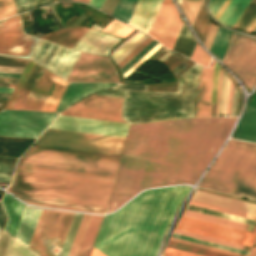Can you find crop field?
<instances>
[{
  "label": "crop field",
  "instance_id": "crop-field-48",
  "mask_svg": "<svg viewBox=\"0 0 256 256\" xmlns=\"http://www.w3.org/2000/svg\"><path fill=\"white\" fill-rule=\"evenodd\" d=\"M162 46L158 43L150 49L144 56H142L136 63H134L127 71H125L122 76L125 78L128 76L132 71H134L139 65H141L145 60H147L152 54H154L159 48Z\"/></svg>",
  "mask_w": 256,
  "mask_h": 256
},
{
  "label": "crop field",
  "instance_id": "crop-field-14",
  "mask_svg": "<svg viewBox=\"0 0 256 256\" xmlns=\"http://www.w3.org/2000/svg\"><path fill=\"white\" fill-rule=\"evenodd\" d=\"M79 52L40 40L32 60L66 80Z\"/></svg>",
  "mask_w": 256,
  "mask_h": 256
},
{
  "label": "crop field",
  "instance_id": "crop-field-27",
  "mask_svg": "<svg viewBox=\"0 0 256 256\" xmlns=\"http://www.w3.org/2000/svg\"><path fill=\"white\" fill-rule=\"evenodd\" d=\"M2 202L9 217V221L7 223L5 231L11 234L12 236H15V233L17 231L18 225L20 223L21 217L26 206L16 201L7 193H5Z\"/></svg>",
  "mask_w": 256,
  "mask_h": 256
},
{
  "label": "crop field",
  "instance_id": "crop-field-69",
  "mask_svg": "<svg viewBox=\"0 0 256 256\" xmlns=\"http://www.w3.org/2000/svg\"><path fill=\"white\" fill-rule=\"evenodd\" d=\"M181 1H182V0H178V2H179L180 4H181Z\"/></svg>",
  "mask_w": 256,
  "mask_h": 256
},
{
  "label": "crop field",
  "instance_id": "crop-field-15",
  "mask_svg": "<svg viewBox=\"0 0 256 256\" xmlns=\"http://www.w3.org/2000/svg\"><path fill=\"white\" fill-rule=\"evenodd\" d=\"M177 229L214 237L246 246H253L256 234L182 216Z\"/></svg>",
  "mask_w": 256,
  "mask_h": 256
},
{
  "label": "crop field",
  "instance_id": "crop-field-58",
  "mask_svg": "<svg viewBox=\"0 0 256 256\" xmlns=\"http://www.w3.org/2000/svg\"><path fill=\"white\" fill-rule=\"evenodd\" d=\"M17 79L0 78V87L13 88Z\"/></svg>",
  "mask_w": 256,
  "mask_h": 256
},
{
  "label": "crop field",
  "instance_id": "crop-field-25",
  "mask_svg": "<svg viewBox=\"0 0 256 256\" xmlns=\"http://www.w3.org/2000/svg\"><path fill=\"white\" fill-rule=\"evenodd\" d=\"M61 115L125 123L123 120L120 119V112H111L75 106H71Z\"/></svg>",
  "mask_w": 256,
  "mask_h": 256
},
{
  "label": "crop field",
  "instance_id": "crop-field-45",
  "mask_svg": "<svg viewBox=\"0 0 256 256\" xmlns=\"http://www.w3.org/2000/svg\"><path fill=\"white\" fill-rule=\"evenodd\" d=\"M168 246L177 248V249H181V250H185V251H189V252H193V253H197V254H201V255H205V256H230V255L217 253V252H213V251H209V250H205V249H201V248H197V247H192V246H188V245H184V244H180V243H176V242H172V241L169 242Z\"/></svg>",
  "mask_w": 256,
  "mask_h": 256
},
{
  "label": "crop field",
  "instance_id": "crop-field-22",
  "mask_svg": "<svg viewBox=\"0 0 256 256\" xmlns=\"http://www.w3.org/2000/svg\"><path fill=\"white\" fill-rule=\"evenodd\" d=\"M118 84H94V83H70L56 112H61L71 104L84 96L108 88H114Z\"/></svg>",
  "mask_w": 256,
  "mask_h": 256
},
{
  "label": "crop field",
  "instance_id": "crop-field-40",
  "mask_svg": "<svg viewBox=\"0 0 256 256\" xmlns=\"http://www.w3.org/2000/svg\"><path fill=\"white\" fill-rule=\"evenodd\" d=\"M173 233L200 239V240H205V241H209V242H213V243H217V244H222V245H226V246H230V247H235V248H239V249H243V250H247V251H250V249H251L250 247H246V246H242V245H238V244H234V243H230V242H226V241H222V240H218V239H213V238H209V237H205V236H201V235H197V234H193V233H189V232H185V231H181V230H177V229H175Z\"/></svg>",
  "mask_w": 256,
  "mask_h": 256
},
{
  "label": "crop field",
  "instance_id": "crop-field-4",
  "mask_svg": "<svg viewBox=\"0 0 256 256\" xmlns=\"http://www.w3.org/2000/svg\"><path fill=\"white\" fill-rule=\"evenodd\" d=\"M200 68L180 77L178 93L125 91L122 118L135 124L193 117Z\"/></svg>",
  "mask_w": 256,
  "mask_h": 256
},
{
  "label": "crop field",
  "instance_id": "crop-field-16",
  "mask_svg": "<svg viewBox=\"0 0 256 256\" xmlns=\"http://www.w3.org/2000/svg\"><path fill=\"white\" fill-rule=\"evenodd\" d=\"M183 23L170 0H163L148 32L163 45L172 48Z\"/></svg>",
  "mask_w": 256,
  "mask_h": 256
},
{
  "label": "crop field",
  "instance_id": "crop-field-61",
  "mask_svg": "<svg viewBox=\"0 0 256 256\" xmlns=\"http://www.w3.org/2000/svg\"><path fill=\"white\" fill-rule=\"evenodd\" d=\"M90 256H106L101 251H99L97 248L93 247V250L91 252Z\"/></svg>",
  "mask_w": 256,
  "mask_h": 256
},
{
  "label": "crop field",
  "instance_id": "crop-field-9",
  "mask_svg": "<svg viewBox=\"0 0 256 256\" xmlns=\"http://www.w3.org/2000/svg\"><path fill=\"white\" fill-rule=\"evenodd\" d=\"M251 89L256 84V42L232 34L222 60Z\"/></svg>",
  "mask_w": 256,
  "mask_h": 256
},
{
  "label": "crop field",
  "instance_id": "crop-field-63",
  "mask_svg": "<svg viewBox=\"0 0 256 256\" xmlns=\"http://www.w3.org/2000/svg\"><path fill=\"white\" fill-rule=\"evenodd\" d=\"M20 75H15V74H1L0 77H12V78H19Z\"/></svg>",
  "mask_w": 256,
  "mask_h": 256
},
{
  "label": "crop field",
  "instance_id": "crop-field-41",
  "mask_svg": "<svg viewBox=\"0 0 256 256\" xmlns=\"http://www.w3.org/2000/svg\"><path fill=\"white\" fill-rule=\"evenodd\" d=\"M41 68L42 67H40L38 65H35V67H34L32 73H31V75H30V77H29V79H28V81H27V83H26V85H25V87H24V89H23L15 107H14V109H21V107H22L30 89L32 88V86H33Z\"/></svg>",
  "mask_w": 256,
  "mask_h": 256
},
{
  "label": "crop field",
  "instance_id": "crop-field-49",
  "mask_svg": "<svg viewBox=\"0 0 256 256\" xmlns=\"http://www.w3.org/2000/svg\"><path fill=\"white\" fill-rule=\"evenodd\" d=\"M172 236L177 237V238H181V239H185V240H189V241H193V242H197V243H201V244H205V245H209V246H213V247H217V248H221V249H225V250H229V251H233V252H237V253H241V254H245V255L248 254L247 251H243V250H239V249H235V248H230V247H226V246H222V245H217V244H213V243H209V242H205V241H200V240H196V239H192V238H187V237H183V236H179V235H175V234H172Z\"/></svg>",
  "mask_w": 256,
  "mask_h": 256
},
{
  "label": "crop field",
  "instance_id": "crop-field-42",
  "mask_svg": "<svg viewBox=\"0 0 256 256\" xmlns=\"http://www.w3.org/2000/svg\"><path fill=\"white\" fill-rule=\"evenodd\" d=\"M91 215L84 214L68 256H76Z\"/></svg>",
  "mask_w": 256,
  "mask_h": 256
},
{
  "label": "crop field",
  "instance_id": "crop-field-3",
  "mask_svg": "<svg viewBox=\"0 0 256 256\" xmlns=\"http://www.w3.org/2000/svg\"><path fill=\"white\" fill-rule=\"evenodd\" d=\"M120 156L33 146L16 173L113 184Z\"/></svg>",
  "mask_w": 256,
  "mask_h": 256
},
{
  "label": "crop field",
  "instance_id": "crop-field-6",
  "mask_svg": "<svg viewBox=\"0 0 256 256\" xmlns=\"http://www.w3.org/2000/svg\"><path fill=\"white\" fill-rule=\"evenodd\" d=\"M113 185L16 174L10 192L107 204Z\"/></svg>",
  "mask_w": 256,
  "mask_h": 256
},
{
  "label": "crop field",
  "instance_id": "crop-field-56",
  "mask_svg": "<svg viewBox=\"0 0 256 256\" xmlns=\"http://www.w3.org/2000/svg\"><path fill=\"white\" fill-rule=\"evenodd\" d=\"M163 256H200V255H196V254H192V253H188V252H184V251H180V250H176V249L167 247Z\"/></svg>",
  "mask_w": 256,
  "mask_h": 256
},
{
  "label": "crop field",
  "instance_id": "crop-field-31",
  "mask_svg": "<svg viewBox=\"0 0 256 256\" xmlns=\"http://www.w3.org/2000/svg\"><path fill=\"white\" fill-rule=\"evenodd\" d=\"M250 0H231L222 12L218 21L224 25L233 27Z\"/></svg>",
  "mask_w": 256,
  "mask_h": 256
},
{
  "label": "crop field",
  "instance_id": "crop-field-46",
  "mask_svg": "<svg viewBox=\"0 0 256 256\" xmlns=\"http://www.w3.org/2000/svg\"><path fill=\"white\" fill-rule=\"evenodd\" d=\"M201 0H183L181 7L192 24Z\"/></svg>",
  "mask_w": 256,
  "mask_h": 256
},
{
  "label": "crop field",
  "instance_id": "crop-field-5",
  "mask_svg": "<svg viewBox=\"0 0 256 256\" xmlns=\"http://www.w3.org/2000/svg\"><path fill=\"white\" fill-rule=\"evenodd\" d=\"M198 186L256 200V144L230 139Z\"/></svg>",
  "mask_w": 256,
  "mask_h": 256
},
{
  "label": "crop field",
  "instance_id": "crop-field-24",
  "mask_svg": "<svg viewBox=\"0 0 256 256\" xmlns=\"http://www.w3.org/2000/svg\"><path fill=\"white\" fill-rule=\"evenodd\" d=\"M192 199L256 215V205L221 197L218 195L197 190Z\"/></svg>",
  "mask_w": 256,
  "mask_h": 256
},
{
  "label": "crop field",
  "instance_id": "crop-field-37",
  "mask_svg": "<svg viewBox=\"0 0 256 256\" xmlns=\"http://www.w3.org/2000/svg\"><path fill=\"white\" fill-rule=\"evenodd\" d=\"M83 214L75 213L59 256H67Z\"/></svg>",
  "mask_w": 256,
  "mask_h": 256
},
{
  "label": "crop field",
  "instance_id": "crop-field-33",
  "mask_svg": "<svg viewBox=\"0 0 256 256\" xmlns=\"http://www.w3.org/2000/svg\"><path fill=\"white\" fill-rule=\"evenodd\" d=\"M183 215L192 217V218H196V219H200V220H204V221H208V222H212V223H216V224H220V225H224V226H228V227H232V228H236V229H240V230H244V231H248V232H252V233H256V227L247 225V224H242V223H238V222H234V221H230V220H226V219H221V218H217V217H213V216H209V215H204V214H200V213H196V212H192V211H188V210H185Z\"/></svg>",
  "mask_w": 256,
  "mask_h": 256
},
{
  "label": "crop field",
  "instance_id": "crop-field-38",
  "mask_svg": "<svg viewBox=\"0 0 256 256\" xmlns=\"http://www.w3.org/2000/svg\"><path fill=\"white\" fill-rule=\"evenodd\" d=\"M14 1H15L17 14L53 3V0H14Z\"/></svg>",
  "mask_w": 256,
  "mask_h": 256
},
{
  "label": "crop field",
  "instance_id": "crop-field-23",
  "mask_svg": "<svg viewBox=\"0 0 256 256\" xmlns=\"http://www.w3.org/2000/svg\"><path fill=\"white\" fill-rule=\"evenodd\" d=\"M162 0H138L129 24L148 32Z\"/></svg>",
  "mask_w": 256,
  "mask_h": 256
},
{
  "label": "crop field",
  "instance_id": "crop-field-21",
  "mask_svg": "<svg viewBox=\"0 0 256 256\" xmlns=\"http://www.w3.org/2000/svg\"><path fill=\"white\" fill-rule=\"evenodd\" d=\"M233 138L256 142V91L233 133Z\"/></svg>",
  "mask_w": 256,
  "mask_h": 256
},
{
  "label": "crop field",
  "instance_id": "crop-field-39",
  "mask_svg": "<svg viewBox=\"0 0 256 256\" xmlns=\"http://www.w3.org/2000/svg\"><path fill=\"white\" fill-rule=\"evenodd\" d=\"M189 204L198 206V207H202V208H206V209H210V210H214V211H219V212L239 216V217L256 220L255 215L238 212V211H234V210H230V209H226V208H222V207H218V206H213V205H209V204H205V203H201V202H197V201H193V200H191Z\"/></svg>",
  "mask_w": 256,
  "mask_h": 256
},
{
  "label": "crop field",
  "instance_id": "crop-field-17",
  "mask_svg": "<svg viewBox=\"0 0 256 256\" xmlns=\"http://www.w3.org/2000/svg\"><path fill=\"white\" fill-rule=\"evenodd\" d=\"M128 127L123 123L59 116L49 128L125 137Z\"/></svg>",
  "mask_w": 256,
  "mask_h": 256
},
{
  "label": "crop field",
  "instance_id": "crop-field-8",
  "mask_svg": "<svg viewBox=\"0 0 256 256\" xmlns=\"http://www.w3.org/2000/svg\"><path fill=\"white\" fill-rule=\"evenodd\" d=\"M74 213L43 210L29 247L43 256H58L55 246L61 249Z\"/></svg>",
  "mask_w": 256,
  "mask_h": 256
},
{
  "label": "crop field",
  "instance_id": "crop-field-60",
  "mask_svg": "<svg viewBox=\"0 0 256 256\" xmlns=\"http://www.w3.org/2000/svg\"><path fill=\"white\" fill-rule=\"evenodd\" d=\"M103 3L104 0H91L89 4L100 10Z\"/></svg>",
  "mask_w": 256,
  "mask_h": 256
},
{
  "label": "crop field",
  "instance_id": "crop-field-2",
  "mask_svg": "<svg viewBox=\"0 0 256 256\" xmlns=\"http://www.w3.org/2000/svg\"><path fill=\"white\" fill-rule=\"evenodd\" d=\"M189 190L175 186L143 192L118 212L105 216L94 246L108 256H156Z\"/></svg>",
  "mask_w": 256,
  "mask_h": 256
},
{
  "label": "crop field",
  "instance_id": "crop-field-19",
  "mask_svg": "<svg viewBox=\"0 0 256 256\" xmlns=\"http://www.w3.org/2000/svg\"><path fill=\"white\" fill-rule=\"evenodd\" d=\"M56 78L57 76L42 68L22 109L40 111Z\"/></svg>",
  "mask_w": 256,
  "mask_h": 256
},
{
  "label": "crop field",
  "instance_id": "crop-field-52",
  "mask_svg": "<svg viewBox=\"0 0 256 256\" xmlns=\"http://www.w3.org/2000/svg\"><path fill=\"white\" fill-rule=\"evenodd\" d=\"M157 42L154 40L148 44L142 51H140L133 59H131L125 66H123L120 71L123 73L127 70L134 62H136L143 54H145L152 46H154ZM153 48V47H152ZM151 48V49H152ZM144 56V55H143Z\"/></svg>",
  "mask_w": 256,
  "mask_h": 256
},
{
  "label": "crop field",
  "instance_id": "crop-field-30",
  "mask_svg": "<svg viewBox=\"0 0 256 256\" xmlns=\"http://www.w3.org/2000/svg\"><path fill=\"white\" fill-rule=\"evenodd\" d=\"M74 105L121 111L122 99L92 95Z\"/></svg>",
  "mask_w": 256,
  "mask_h": 256
},
{
  "label": "crop field",
  "instance_id": "crop-field-32",
  "mask_svg": "<svg viewBox=\"0 0 256 256\" xmlns=\"http://www.w3.org/2000/svg\"><path fill=\"white\" fill-rule=\"evenodd\" d=\"M103 216L92 215L77 256H88Z\"/></svg>",
  "mask_w": 256,
  "mask_h": 256
},
{
  "label": "crop field",
  "instance_id": "crop-field-57",
  "mask_svg": "<svg viewBox=\"0 0 256 256\" xmlns=\"http://www.w3.org/2000/svg\"><path fill=\"white\" fill-rule=\"evenodd\" d=\"M225 0H211V3L209 5V10L211 14L214 15L217 13L221 5L224 3Z\"/></svg>",
  "mask_w": 256,
  "mask_h": 256
},
{
  "label": "crop field",
  "instance_id": "crop-field-51",
  "mask_svg": "<svg viewBox=\"0 0 256 256\" xmlns=\"http://www.w3.org/2000/svg\"><path fill=\"white\" fill-rule=\"evenodd\" d=\"M26 63H27V61H25V60H19V59H13V58H7V57L0 56V65L25 67Z\"/></svg>",
  "mask_w": 256,
  "mask_h": 256
},
{
  "label": "crop field",
  "instance_id": "crop-field-26",
  "mask_svg": "<svg viewBox=\"0 0 256 256\" xmlns=\"http://www.w3.org/2000/svg\"><path fill=\"white\" fill-rule=\"evenodd\" d=\"M42 210L26 207L15 238L29 245Z\"/></svg>",
  "mask_w": 256,
  "mask_h": 256
},
{
  "label": "crop field",
  "instance_id": "crop-field-47",
  "mask_svg": "<svg viewBox=\"0 0 256 256\" xmlns=\"http://www.w3.org/2000/svg\"><path fill=\"white\" fill-rule=\"evenodd\" d=\"M15 14L16 12L13 0H0V19Z\"/></svg>",
  "mask_w": 256,
  "mask_h": 256
},
{
  "label": "crop field",
  "instance_id": "crop-field-20",
  "mask_svg": "<svg viewBox=\"0 0 256 256\" xmlns=\"http://www.w3.org/2000/svg\"><path fill=\"white\" fill-rule=\"evenodd\" d=\"M120 40L119 38L89 29L73 49L108 55L110 48Z\"/></svg>",
  "mask_w": 256,
  "mask_h": 256
},
{
  "label": "crop field",
  "instance_id": "crop-field-34",
  "mask_svg": "<svg viewBox=\"0 0 256 256\" xmlns=\"http://www.w3.org/2000/svg\"><path fill=\"white\" fill-rule=\"evenodd\" d=\"M234 28L252 33L256 28V1L251 0Z\"/></svg>",
  "mask_w": 256,
  "mask_h": 256
},
{
  "label": "crop field",
  "instance_id": "crop-field-43",
  "mask_svg": "<svg viewBox=\"0 0 256 256\" xmlns=\"http://www.w3.org/2000/svg\"><path fill=\"white\" fill-rule=\"evenodd\" d=\"M34 64L35 63L29 61V63H28V65H27V67H26V69H25V71H24V73H23V75H22V77H21V79H20V81H19V83H18V85H17V87H16V89H15V91H14V93H13V95H12V97H11V99H10L6 108H10V109L13 108V106H14V104H15V102H16V100H17V98H18V96H19V94H20V92H21V90H22V88H23V86H24L32 68H33V66H34Z\"/></svg>",
  "mask_w": 256,
  "mask_h": 256
},
{
  "label": "crop field",
  "instance_id": "crop-field-55",
  "mask_svg": "<svg viewBox=\"0 0 256 256\" xmlns=\"http://www.w3.org/2000/svg\"><path fill=\"white\" fill-rule=\"evenodd\" d=\"M215 71H214V78H213V85H212V93H211V100L210 103H215L216 99V91H217V82H218V74L220 66L215 63Z\"/></svg>",
  "mask_w": 256,
  "mask_h": 256
},
{
  "label": "crop field",
  "instance_id": "crop-field-44",
  "mask_svg": "<svg viewBox=\"0 0 256 256\" xmlns=\"http://www.w3.org/2000/svg\"><path fill=\"white\" fill-rule=\"evenodd\" d=\"M132 30L133 28H130L116 20H113L102 31L125 38Z\"/></svg>",
  "mask_w": 256,
  "mask_h": 256
},
{
  "label": "crop field",
  "instance_id": "crop-field-28",
  "mask_svg": "<svg viewBox=\"0 0 256 256\" xmlns=\"http://www.w3.org/2000/svg\"><path fill=\"white\" fill-rule=\"evenodd\" d=\"M87 30L88 28L78 26L69 29L55 31L42 38L72 48ZM55 33L57 34L55 35Z\"/></svg>",
  "mask_w": 256,
  "mask_h": 256
},
{
  "label": "crop field",
  "instance_id": "crop-field-66",
  "mask_svg": "<svg viewBox=\"0 0 256 256\" xmlns=\"http://www.w3.org/2000/svg\"><path fill=\"white\" fill-rule=\"evenodd\" d=\"M248 256H256V246H254L253 250Z\"/></svg>",
  "mask_w": 256,
  "mask_h": 256
},
{
  "label": "crop field",
  "instance_id": "crop-field-11",
  "mask_svg": "<svg viewBox=\"0 0 256 256\" xmlns=\"http://www.w3.org/2000/svg\"><path fill=\"white\" fill-rule=\"evenodd\" d=\"M67 81L120 82L108 58L81 52Z\"/></svg>",
  "mask_w": 256,
  "mask_h": 256
},
{
  "label": "crop field",
  "instance_id": "crop-field-7",
  "mask_svg": "<svg viewBox=\"0 0 256 256\" xmlns=\"http://www.w3.org/2000/svg\"><path fill=\"white\" fill-rule=\"evenodd\" d=\"M125 138L47 129L37 145L121 154Z\"/></svg>",
  "mask_w": 256,
  "mask_h": 256
},
{
  "label": "crop field",
  "instance_id": "crop-field-54",
  "mask_svg": "<svg viewBox=\"0 0 256 256\" xmlns=\"http://www.w3.org/2000/svg\"><path fill=\"white\" fill-rule=\"evenodd\" d=\"M153 39L150 37L145 40L139 47H137L131 54H129L123 61H121L118 66L121 68L125 65L131 58H133L140 50H142L148 43H150Z\"/></svg>",
  "mask_w": 256,
  "mask_h": 256
},
{
  "label": "crop field",
  "instance_id": "crop-field-53",
  "mask_svg": "<svg viewBox=\"0 0 256 256\" xmlns=\"http://www.w3.org/2000/svg\"><path fill=\"white\" fill-rule=\"evenodd\" d=\"M170 240L180 242V243H184V244H188V245H192V246H197V247L209 249V250H213V251H217V252H222V253H226V254H230V255H234V256H244V255H240V254H236V253H232V252H228V251H224V250H220V249H216V248H212V247H208V246H204V245H200V244H196V243H192V242L172 238V237H171Z\"/></svg>",
  "mask_w": 256,
  "mask_h": 256
},
{
  "label": "crop field",
  "instance_id": "crop-field-59",
  "mask_svg": "<svg viewBox=\"0 0 256 256\" xmlns=\"http://www.w3.org/2000/svg\"><path fill=\"white\" fill-rule=\"evenodd\" d=\"M147 85L121 84L116 88L146 90Z\"/></svg>",
  "mask_w": 256,
  "mask_h": 256
},
{
  "label": "crop field",
  "instance_id": "crop-field-18",
  "mask_svg": "<svg viewBox=\"0 0 256 256\" xmlns=\"http://www.w3.org/2000/svg\"><path fill=\"white\" fill-rule=\"evenodd\" d=\"M20 200L28 202L36 206L52 207L64 210H74V211H84V212H94V213H105L106 206L103 204L15 194Z\"/></svg>",
  "mask_w": 256,
  "mask_h": 256
},
{
  "label": "crop field",
  "instance_id": "crop-field-1",
  "mask_svg": "<svg viewBox=\"0 0 256 256\" xmlns=\"http://www.w3.org/2000/svg\"><path fill=\"white\" fill-rule=\"evenodd\" d=\"M235 120L188 119L131 125L107 212L145 188L195 183Z\"/></svg>",
  "mask_w": 256,
  "mask_h": 256
},
{
  "label": "crop field",
  "instance_id": "crop-field-68",
  "mask_svg": "<svg viewBox=\"0 0 256 256\" xmlns=\"http://www.w3.org/2000/svg\"><path fill=\"white\" fill-rule=\"evenodd\" d=\"M75 17H76V16H75ZM75 17H73V18L70 19L68 22H66V24L69 23L71 20H73ZM77 20H79V18H78ZM77 20H75L73 23H75ZM73 23H71L69 26H71ZM69 26H68V27H69Z\"/></svg>",
  "mask_w": 256,
  "mask_h": 256
},
{
  "label": "crop field",
  "instance_id": "crop-field-35",
  "mask_svg": "<svg viewBox=\"0 0 256 256\" xmlns=\"http://www.w3.org/2000/svg\"><path fill=\"white\" fill-rule=\"evenodd\" d=\"M231 34V32L225 29H222L220 27L218 28L210 51L215 54L220 60H222L223 58Z\"/></svg>",
  "mask_w": 256,
  "mask_h": 256
},
{
  "label": "crop field",
  "instance_id": "crop-field-67",
  "mask_svg": "<svg viewBox=\"0 0 256 256\" xmlns=\"http://www.w3.org/2000/svg\"><path fill=\"white\" fill-rule=\"evenodd\" d=\"M74 1H79V2H83V3H89L90 0H74Z\"/></svg>",
  "mask_w": 256,
  "mask_h": 256
},
{
  "label": "crop field",
  "instance_id": "crop-field-62",
  "mask_svg": "<svg viewBox=\"0 0 256 256\" xmlns=\"http://www.w3.org/2000/svg\"><path fill=\"white\" fill-rule=\"evenodd\" d=\"M230 0H226L225 3L222 5V7L220 8V10L218 11V13L215 15V19L217 20V18L219 17V15L221 14V12L224 10V8L226 7V5L228 4Z\"/></svg>",
  "mask_w": 256,
  "mask_h": 256
},
{
  "label": "crop field",
  "instance_id": "crop-field-13",
  "mask_svg": "<svg viewBox=\"0 0 256 256\" xmlns=\"http://www.w3.org/2000/svg\"><path fill=\"white\" fill-rule=\"evenodd\" d=\"M39 38L24 35L20 16L0 21V53L29 58Z\"/></svg>",
  "mask_w": 256,
  "mask_h": 256
},
{
  "label": "crop field",
  "instance_id": "crop-field-70",
  "mask_svg": "<svg viewBox=\"0 0 256 256\" xmlns=\"http://www.w3.org/2000/svg\"><path fill=\"white\" fill-rule=\"evenodd\" d=\"M256 245V244H255Z\"/></svg>",
  "mask_w": 256,
  "mask_h": 256
},
{
  "label": "crop field",
  "instance_id": "crop-field-36",
  "mask_svg": "<svg viewBox=\"0 0 256 256\" xmlns=\"http://www.w3.org/2000/svg\"><path fill=\"white\" fill-rule=\"evenodd\" d=\"M136 2L137 0H119L112 16L127 23Z\"/></svg>",
  "mask_w": 256,
  "mask_h": 256
},
{
  "label": "crop field",
  "instance_id": "crop-field-50",
  "mask_svg": "<svg viewBox=\"0 0 256 256\" xmlns=\"http://www.w3.org/2000/svg\"><path fill=\"white\" fill-rule=\"evenodd\" d=\"M191 59L207 66L210 57L202 50V48L197 44L195 51L191 57Z\"/></svg>",
  "mask_w": 256,
  "mask_h": 256
},
{
  "label": "crop field",
  "instance_id": "crop-field-65",
  "mask_svg": "<svg viewBox=\"0 0 256 256\" xmlns=\"http://www.w3.org/2000/svg\"><path fill=\"white\" fill-rule=\"evenodd\" d=\"M13 89L0 88V92L11 93Z\"/></svg>",
  "mask_w": 256,
  "mask_h": 256
},
{
  "label": "crop field",
  "instance_id": "crop-field-12",
  "mask_svg": "<svg viewBox=\"0 0 256 256\" xmlns=\"http://www.w3.org/2000/svg\"><path fill=\"white\" fill-rule=\"evenodd\" d=\"M212 74H213V68H209L208 70L204 69L202 73L201 94H200L199 109H198L197 117L210 116L212 104H209V99H210V91H211V83H212ZM221 77H222V71H220L215 114H217V110H218ZM229 84H230V79L223 73L218 114H226ZM232 88H233V84L231 82L227 114H229V111H230ZM236 100H237V93L234 87L230 115H235Z\"/></svg>",
  "mask_w": 256,
  "mask_h": 256
},
{
  "label": "crop field",
  "instance_id": "crop-field-10",
  "mask_svg": "<svg viewBox=\"0 0 256 256\" xmlns=\"http://www.w3.org/2000/svg\"><path fill=\"white\" fill-rule=\"evenodd\" d=\"M58 114L3 110L0 135L37 138Z\"/></svg>",
  "mask_w": 256,
  "mask_h": 256
},
{
  "label": "crop field",
  "instance_id": "crop-field-64",
  "mask_svg": "<svg viewBox=\"0 0 256 256\" xmlns=\"http://www.w3.org/2000/svg\"><path fill=\"white\" fill-rule=\"evenodd\" d=\"M10 94L0 93V99L2 100H8Z\"/></svg>",
  "mask_w": 256,
  "mask_h": 256
},
{
  "label": "crop field",
  "instance_id": "crop-field-29",
  "mask_svg": "<svg viewBox=\"0 0 256 256\" xmlns=\"http://www.w3.org/2000/svg\"><path fill=\"white\" fill-rule=\"evenodd\" d=\"M0 256H38V254L4 233L0 242Z\"/></svg>",
  "mask_w": 256,
  "mask_h": 256
}]
</instances>
